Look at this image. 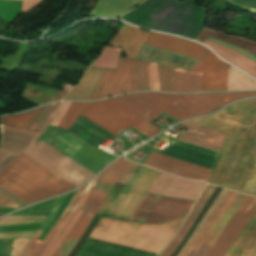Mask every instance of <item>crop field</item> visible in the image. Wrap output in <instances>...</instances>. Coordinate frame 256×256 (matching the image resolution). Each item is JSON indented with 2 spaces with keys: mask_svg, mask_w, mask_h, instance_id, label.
I'll use <instances>...</instances> for the list:
<instances>
[{
  "mask_svg": "<svg viewBox=\"0 0 256 256\" xmlns=\"http://www.w3.org/2000/svg\"><path fill=\"white\" fill-rule=\"evenodd\" d=\"M143 47L182 56L176 53H172V52H168V51H164V50H160V49H156V48H152L144 45ZM143 47H141L140 50L137 52V54L134 56L133 58L134 60L146 61V62L172 66L177 68H183L188 70H191V68L195 65L196 61H198V60L192 61V60H195L192 58H189L192 60L185 59V58H188L185 56H182V57H185V58H182L175 55H171V54H167V53H163V52H159V51H155V50H151Z\"/></svg>",
  "mask_w": 256,
  "mask_h": 256,
  "instance_id": "214f88e0",
  "label": "crop field"
},
{
  "mask_svg": "<svg viewBox=\"0 0 256 256\" xmlns=\"http://www.w3.org/2000/svg\"><path fill=\"white\" fill-rule=\"evenodd\" d=\"M0 192L22 207L29 205L27 202L23 201L22 199H20L19 197H17L16 195H14L13 193L9 192L8 190H6L1 186H0Z\"/></svg>",
  "mask_w": 256,
  "mask_h": 256,
  "instance_id": "dbb93151",
  "label": "crop field"
},
{
  "mask_svg": "<svg viewBox=\"0 0 256 256\" xmlns=\"http://www.w3.org/2000/svg\"><path fill=\"white\" fill-rule=\"evenodd\" d=\"M67 92L68 91H60L59 94L57 95V97L55 98V100L62 99L66 95Z\"/></svg>",
  "mask_w": 256,
  "mask_h": 256,
  "instance_id": "78b8030e",
  "label": "crop field"
},
{
  "mask_svg": "<svg viewBox=\"0 0 256 256\" xmlns=\"http://www.w3.org/2000/svg\"><path fill=\"white\" fill-rule=\"evenodd\" d=\"M105 196L106 193L92 190V192L80 208V210H84L83 214L81 215L63 244L54 254V256H67L69 254V252L75 246V244L93 219Z\"/></svg>",
  "mask_w": 256,
  "mask_h": 256,
  "instance_id": "22f410ed",
  "label": "crop field"
},
{
  "mask_svg": "<svg viewBox=\"0 0 256 256\" xmlns=\"http://www.w3.org/2000/svg\"><path fill=\"white\" fill-rule=\"evenodd\" d=\"M70 103L71 102H63L62 103V105L60 107V110H59V113H58V116H57V118L55 119V121L51 125H54L56 127L58 126L59 122L61 121V119L65 115L66 111L68 110V108L70 106Z\"/></svg>",
  "mask_w": 256,
  "mask_h": 256,
  "instance_id": "0fb4a251",
  "label": "crop field"
},
{
  "mask_svg": "<svg viewBox=\"0 0 256 256\" xmlns=\"http://www.w3.org/2000/svg\"><path fill=\"white\" fill-rule=\"evenodd\" d=\"M247 195L229 191L182 256H206Z\"/></svg>",
  "mask_w": 256,
  "mask_h": 256,
  "instance_id": "5a996713",
  "label": "crop field"
},
{
  "mask_svg": "<svg viewBox=\"0 0 256 256\" xmlns=\"http://www.w3.org/2000/svg\"><path fill=\"white\" fill-rule=\"evenodd\" d=\"M134 64L137 71L138 89L149 90L148 73H147L148 63L134 61Z\"/></svg>",
  "mask_w": 256,
  "mask_h": 256,
  "instance_id": "c035e120",
  "label": "crop field"
},
{
  "mask_svg": "<svg viewBox=\"0 0 256 256\" xmlns=\"http://www.w3.org/2000/svg\"><path fill=\"white\" fill-rule=\"evenodd\" d=\"M45 107L34 109L20 115L1 117L0 122L15 127L28 129Z\"/></svg>",
  "mask_w": 256,
  "mask_h": 256,
  "instance_id": "bd1437ed",
  "label": "crop field"
},
{
  "mask_svg": "<svg viewBox=\"0 0 256 256\" xmlns=\"http://www.w3.org/2000/svg\"><path fill=\"white\" fill-rule=\"evenodd\" d=\"M229 134L209 183L256 195V98L187 121Z\"/></svg>",
  "mask_w": 256,
  "mask_h": 256,
  "instance_id": "8a807250",
  "label": "crop field"
},
{
  "mask_svg": "<svg viewBox=\"0 0 256 256\" xmlns=\"http://www.w3.org/2000/svg\"><path fill=\"white\" fill-rule=\"evenodd\" d=\"M232 3H235L239 6L247 8L253 12H256V0H228Z\"/></svg>",
  "mask_w": 256,
  "mask_h": 256,
  "instance_id": "89e229c0",
  "label": "crop field"
},
{
  "mask_svg": "<svg viewBox=\"0 0 256 256\" xmlns=\"http://www.w3.org/2000/svg\"><path fill=\"white\" fill-rule=\"evenodd\" d=\"M145 165L175 174L184 178L208 181L211 170L188 164L158 153L152 152Z\"/></svg>",
  "mask_w": 256,
  "mask_h": 256,
  "instance_id": "5142ce71",
  "label": "crop field"
},
{
  "mask_svg": "<svg viewBox=\"0 0 256 256\" xmlns=\"http://www.w3.org/2000/svg\"><path fill=\"white\" fill-rule=\"evenodd\" d=\"M0 206L21 208L19 205H17L16 203H14L13 201L8 199L7 197L2 195L1 193H0Z\"/></svg>",
  "mask_w": 256,
  "mask_h": 256,
  "instance_id": "9d1cf04e",
  "label": "crop field"
},
{
  "mask_svg": "<svg viewBox=\"0 0 256 256\" xmlns=\"http://www.w3.org/2000/svg\"><path fill=\"white\" fill-rule=\"evenodd\" d=\"M225 256H256V216Z\"/></svg>",
  "mask_w": 256,
  "mask_h": 256,
  "instance_id": "eef30255",
  "label": "crop field"
},
{
  "mask_svg": "<svg viewBox=\"0 0 256 256\" xmlns=\"http://www.w3.org/2000/svg\"><path fill=\"white\" fill-rule=\"evenodd\" d=\"M113 73H114L113 70H108V69L105 70L104 75H103V77H102L94 95H93L92 100L93 99H99V98L102 97V95H103V93H104V91H105Z\"/></svg>",
  "mask_w": 256,
  "mask_h": 256,
  "instance_id": "03da06ac",
  "label": "crop field"
},
{
  "mask_svg": "<svg viewBox=\"0 0 256 256\" xmlns=\"http://www.w3.org/2000/svg\"><path fill=\"white\" fill-rule=\"evenodd\" d=\"M193 204V201L147 193L130 220L162 223L187 215Z\"/></svg>",
  "mask_w": 256,
  "mask_h": 256,
  "instance_id": "3316defc",
  "label": "crop field"
},
{
  "mask_svg": "<svg viewBox=\"0 0 256 256\" xmlns=\"http://www.w3.org/2000/svg\"><path fill=\"white\" fill-rule=\"evenodd\" d=\"M256 89V82L229 67L228 90Z\"/></svg>",
  "mask_w": 256,
  "mask_h": 256,
  "instance_id": "1d83c4d3",
  "label": "crop field"
},
{
  "mask_svg": "<svg viewBox=\"0 0 256 256\" xmlns=\"http://www.w3.org/2000/svg\"><path fill=\"white\" fill-rule=\"evenodd\" d=\"M105 69L89 68L79 84L64 99L90 100Z\"/></svg>",
  "mask_w": 256,
  "mask_h": 256,
  "instance_id": "00972430",
  "label": "crop field"
},
{
  "mask_svg": "<svg viewBox=\"0 0 256 256\" xmlns=\"http://www.w3.org/2000/svg\"><path fill=\"white\" fill-rule=\"evenodd\" d=\"M30 239H15L10 256H18Z\"/></svg>",
  "mask_w": 256,
  "mask_h": 256,
  "instance_id": "25e5ab78",
  "label": "crop field"
},
{
  "mask_svg": "<svg viewBox=\"0 0 256 256\" xmlns=\"http://www.w3.org/2000/svg\"><path fill=\"white\" fill-rule=\"evenodd\" d=\"M22 1L0 0V19L12 23L21 9Z\"/></svg>",
  "mask_w": 256,
  "mask_h": 256,
  "instance_id": "5866460e",
  "label": "crop field"
},
{
  "mask_svg": "<svg viewBox=\"0 0 256 256\" xmlns=\"http://www.w3.org/2000/svg\"><path fill=\"white\" fill-rule=\"evenodd\" d=\"M160 137L172 141L162 152L155 150V152L174 157L198 166L208 169H213L218 153L196 147L166 136Z\"/></svg>",
  "mask_w": 256,
  "mask_h": 256,
  "instance_id": "cbeb9de0",
  "label": "crop field"
},
{
  "mask_svg": "<svg viewBox=\"0 0 256 256\" xmlns=\"http://www.w3.org/2000/svg\"><path fill=\"white\" fill-rule=\"evenodd\" d=\"M60 103L52 104L46 106L41 115L36 119V121L30 126V130L40 131L43 130L52 122L54 119L56 112L60 106Z\"/></svg>",
  "mask_w": 256,
  "mask_h": 256,
  "instance_id": "d32e631a",
  "label": "crop field"
},
{
  "mask_svg": "<svg viewBox=\"0 0 256 256\" xmlns=\"http://www.w3.org/2000/svg\"><path fill=\"white\" fill-rule=\"evenodd\" d=\"M256 212V198L248 196L229 220L207 256H222Z\"/></svg>",
  "mask_w": 256,
  "mask_h": 256,
  "instance_id": "28ad6ade",
  "label": "crop field"
},
{
  "mask_svg": "<svg viewBox=\"0 0 256 256\" xmlns=\"http://www.w3.org/2000/svg\"><path fill=\"white\" fill-rule=\"evenodd\" d=\"M94 181V180H93ZM90 182V184H92V182ZM82 196L79 197L78 201L75 204V207H77V205L79 204V202L81 201ZM72 211L70 212V214L68 215V217L66 218V220L64 221V223L62 224V226L60 227V229L58 230V232L56 233V235L54 236V238L52 239V241L50 242V244L48 245V247L46 248V250L44 251V253L42 254V256L45 255V253L47 252L48 248L50 247V245L53 243V241L56 239V237L58 236V234L60 233V231L62 230V228L64 227V225L66 224V222L68 221V219L70 218V216L72 215Z\"/></svg>",
  "mask_w": 256,
  "mask_h": 256,
  "instance_id": "447ae74e",
  "label": "crop field"
},
{
  "mask_svg": "<svg viewBox=\"0 0 256 256\" xmlns=\"http://www.w3.org/2000/svg\"><path fill=\"white\" fill-rule=\"evenodd\" d=\"M150 90H159L157 65L149 63Z\"/></svg>",
  "mask_w": 256,
  "mask_h": 256,
  "instance_id": "b54c1fbb",
  "label": "crop field"
},
{
  "mask_svg": "<svg viewBox=\"0 0 256 256\" xmlns=\"http://www.w3.org/2000/svg\"><path fill=\"white\" fill-rule=\"evenodd\" d=\"M227 192V189H222L221 192L218 194V196L216 197V199L214 200V202L212 203V205L210 206V208L208 209L207 213L205 214V216L203 217V219L201 220V222L199 223V225L197 226V228L195 229V231L193 232V234L191 235V237L188 239V241L186 242V244L183 246V248L180 250V252L176 255V256H181L183 254V252L187 249V247L190 245V243L192 242V240L194 239V237L197 235V233L199 232V230L201 229V227L203 226V224L206 222V220L208 219V217L210 216V214L213 212V210L215 209V207L217 206V204L220 202V200L222 199V197L224 196V194Z\"/></svg>",
  "mask_w": 256,
  "mask_h": 256,
  "instance_id": "0bd39190",
  "label": "crop field"
},
{
  "mask_svg": "<svg viewBox=\"0 0 256 256\" xmlns=\"http://www.w3.org/2000/svg\"><path fill=\"white\" fill-rule=\"evenodd\" d=\"M2 215H5V214L0 213V216H2Z\"/></svg>",
  "mask_w": 256,
  "mask_h": 256,
  "instance_id": "0f1d7ab4",
  "label": "crop field"
},
{
  "mask_svg": "<svg viewBox=\"0 0 256 256\" xmlns=\"http://www.w3.org/2000/svg\"><path fill=\"white\" fill-rule=\"evenodd\" d=\"M36 231L0 233V239L32 238Z\"/></svg>",
  "mask_w": 256,
  "mask_h": 256,
  "instance_id": "5d738f31",
  "label": "crop field"
},
{
  "mask_svg": "<svg viewBox=\"0 0 256 256\" xmlns=\"http://www.w3.org/2000/svg\"><path fill=\"white\" fill-rule=\"evenodd\" d=\"M205 183L183 180L161 172L149 193L196 200Z\"/></svg>",
  "mask_w": 256,
  "mask_h": 256,
  "instance_id": "d1516ede",
  "label": "crop field"
},
{
  "mask_svg": "<svg viewBox=\"0 0 256 256\" xmlns=\"http://www.w3.org/2000/svg\"><path fill=\"white\" fill-rule=\"evenodd\" d=\"M207 39L221 45V46H224L226 48H229V49H232L234 51H237L241 54H243L244 56L248 57L249 59L253 60L254 62H256V58L254 56H252L251 54H249L248 52H246L245 50L241 49V48H238V47H235L233 45H230L228 43H225V42H222V41H219V40H215V39H212V38H209L207 37Z\"/></svg>",
  "mask_w": 256,
  "mask_h": 256,
  "instance_id": "425ffa30",
  "label": "crop field"
},
{
  "mask_svg": "<svg viewBox=\"0 0 256 256\" xmlns=\"http://www.w3.org/2000/svg\"><path fill=\"white\" fill-rule=\"evenodd\" d=\"M69 130L96 147L113 136L81 115ZM69 130L49 126L38 140L44 141L95 174L116 158Z\"/></svg>",
  "mask_w": 256,
  "mask_h": 256,
  "instance_id": "f4fd0767",
  "label": "crop field"
},
{
  "mask_svg": "<svg viewBox=\"0 0 256 256\" xmlns=\"http://www.w3.org/2000/svg\"><path fill=\"white\" fill-rule=\"evenodd\" d=\"M91 103H74L72 102L68 112L61 121L59 127L69 129L75 122L78 115L84 111Z\"/></svg>",
  "mask_w": 256,
  "mask_h": 256,
  "instance_id": "e1f06a70",
  "label": "crop field"
},
{
  "mask_svg": "<svg viewBox=\"0 0 256 256\" xmlns=\"http://www.w3.org/2000/svg\"><path fill=\"white\" fill-rule=\"evenodd\" d=\"M207 36L228 42L233 45H236V46L241 47V48L256 55V42L255 41L245 39V38H242L239 36L234 37V36L226 35L219 31H215V30H211V29H207V28H204L202 33L197 38V41L203 43L204 39Z\"/></svg>",
  "mask_w": 256,
  "mask_h": 256,
  "instance_id": "750c4746",
  "label": "crop field"
},
{
  "mask_svg": "<svg viewBox=\"0 0 256 256\" xmlns=\"http://www.w3.org/2000/svg\"><path fill=\"white\" fill-rule=\"evenodd\" d=\"M160 90L172 91L173 68L158 65Z\"/></svg>",
  "mask_w": 256,
  "mask_h": 256,
  "instance_id": "b80d0937",
  "label": "crop field"
},
{
  "mask_svg": "<svg viewBox=\"0 0 256 256\" xmlns=\"http://www.w3.org/2000/svg\"><path fill=\"white\" fill-rule=\"evenodd\" d=\"M193 71L203 72L201 91L227 90L228 66L210 51L194 66Z\"/></svg>",
  "mask_w": 256,
  "mask_h": 256,
  "instance_id": "d9b57169",
  "label": "crop field"
},
{
  "mask_svg": "<svg viewBox=\"0 0 256 256\" xmlns=\"http://www.w3.org/2000/svg\"><path fill=\"white\" fill-rule=\"evenodd\" d=\"M148 35V32L124 24L109 45L122 47L120 57L126 51L127 58L132 59Z\"/></svg>",
  "mask_w": 256,
  "mask_h": 256,
  "instance_id": "92a150f3",
  "label": "crop field"
},
{
  "mask_svg": "<svg viewBox=\"0 0 256 256\" xmlns=\"http://www.w3.org/2000/svg\"><path fill=\"white\" fill-rule=\"evenodd\" d=\"M202 73L175 68L173 91H199Z\"/></svg>",
  "mask_w": 256,
  "mask_h": 256,
  "instance_id": "d3111659",
  "label": "crop field"
},
{
  "mask_svg": "<svg viewBox=\"0 0 256 256\" xmlns=\"http://www.w3.org/2000/svg\"><path fill=\"white\" fill-rule=\"evenodd\" d=\"M215 189H216L215 186L207 185L202 195L200 196L195 206L193 207L192 211L190 212L189 216L183 223L182 227L180 228V230L178 231V233L176 234L172 242L169 244V246L166 248V250L161 256H170L171 253L175 250V248L180 244L185 234L189 230L190 226L196 219L198 213L203 208V206L205 205V203L207 202V200L212 195Z\"/></svg>",
  "mask_w": 256,
  "mask_h": 256,
  "instance_id": "730fd06b",
  "label": "crop field"
},
{
  "mask_svg": "<svg viewBox=\"0 0 256 256\" xmlns=\"http://www.w3.org/2000/svg\"><path fill=\"white\" fill-rule=\"evenodd\" d=\"M207 13L177 0H146L122 16L124 21L138 26L177 34L196 40Z\"/></svg>",
  "mask_w": 256,
  "mask_h": 256,
  "instance_id": "dd49c442",
  "label": "crop field"
},
{
  "mask_svg": "<svg viewBox=\"0 0 256 256\" xmlns=\"http://www.w3.org/2000/svg\"><path fill=\"white\" fill-rule=\"evenodd\" d=\"M96 186V185H95ZM112 188V185L103 183V182H98L97 186L94 188V190L102 191L108 193Z\"/></svg>",
  "mask_w": 256,
  "mask_h": 256,
  "instance_id": "0765c3eb",
  "label": "crop field"
},
{
  "mask_svg": "<svg viewBox=\"0 0 256 256\" xmlns=\"http://www.w3.org/2000/svg\"><path fill=\"white\" fill-rule=\"evenodd\" d=\"M11 154H15L13 152L7 151V150H3L0 149V162L7 156L11 155Z\"/></svg>",
  "mask_w": 256,
  "mask_h": 256,
  "instance_id": "7b73153f",
  "label": "crop field"
},
{
  "mask_svg": "<svg viewBox=\"0 0 256 256\" xmlns=\"http://www.w3.org/2000/svg\"><path fill=\"white\" fill-rule=\"evenodd\" d=\"M159 174L160 171L143 166L140 174L133 173L126 185L116 182L96 215L129 220Z\"/></svg>",
  "mask_w": 256,
  "mask_h": 256,
  "instance_id": "e52e79f7",
  "label": "crop field"
},
{
  "mask_svg": "<svg viewBox=\"0 0 256 256\" xmlns=\"http://www.w3.org/2000/svg\"><path fill=\"white\" fill-rule=\"evenodd\" d=\"M255 95L256 92L213 94L146 92L123 95L111 99L150 122L163 111L180 121L213 111L239 98Z\"/></svg>",
  "mask_w": 256,
  "mask_h": 256,
  "instance_id": "412701ff",
  "label": "crop field"
},
{
  "mask_svg": "<svg viewBox=\"0 0 256 256\" xmlns=\"http://www.w3.org/2000/svg\"><path fill=\"white\" fill-rule=\"evenodd\" d=\"M46 216H27V217H4L0 219V225L19 224V223H37L43 222Z\"/></svg>",
  "mask_w": 256,
  "mask_h": 256,
  "instance_id": "c21b1889",
  "label": "crop field"
},
{
  "mask_svg": "<svg viewBox=\"0 0 256 256\" xmlns=\"http://www.w3.org/2000/svg\"><path fill=\"white\" fill-rule=\"evenodd\" d=\"M23 153L76 186L95 175L42 141ZM23 153L0 174V185L20 198L32 204L76 187Z\"/></svg>",
  "mask_w": 256,
  "mask_h": 256,
  "instance_id": "ac0d7876",
  "label": "crop field"
},
{
  "mask_svg": "<svg viewBox=\"0 0 256 256\" xmlns=\"http://www.w3.org/2000/svg\"><path fill=\"white\" fill-rule=\"evenodd\" d=\"M86 186V185H85ZM85 186L79 188L76 190L71 202L67 206L66 210L60 217V219L57 221L55 226L52 228V230L49 232L47 237L44 239L43 242L37 240L38 237L41 235V231H38V233L35 235V237L31 240V242L28 244V246L24 249V251L21 253L20 256H40V254L43 252L45 247L48 245L58 228L61 226L67 215L69 214L70 210L74 206L75 202L77 201L78 197L80 196L81 192L85 188Z\"/></svg>",
  "mask_w": 256,
  "mask_h": 256,
  "instance_id": "4177f3b9",
  "label": "crop field"
},
{
  "mask_svg": "<svg viewBox=\"0 0 256 256\" xmlns=\"http://www.w3.org/2000/svg\"><path fill=\"white\" fill-rule=\"evenodd\" d=\"M203 44L209 46L214 52H216L218 55H220L228 62L232 63L236 67L242 69L243 71L247 72L248 74L256 78V63H254L253 61L232 50L221 47L206 39Z\"/></svg>",
  "mask_w": 256,
  "mask_h": 256,
  "instance_id": "ae1a2a85",
  "label": "crop field"
},
{
  "mask_svg": "<svg viewBox=\"0 0 256 256\" xmlns=\"http://www.w3.org/2000/svg\"><path fill=\"white\" fill-rule=\"evenodd\" d=\"M144 44L198 59L202 58L207 51L203 46L189 40L154 32H151Z\"/></svg>",
  "mask_w": 256,
  "mask_h": 256,
  "instance_id": "733c2abd",
  "label": "crop field"
},
{
  "mask_svg": "<svg viewBox=\"0 0 256 256\" xmlns=\"http://www.w3.org/2000/svg\"><path fill=\"white\" fill-rule=\"evenodd\" d=\"M184 218L161 225L126 222L102 217L91 235L160 253ZM87 238L81 252L97 256H158V253L124 245L99 237ZM78 252L77 256H93Z\"/></svg>",
  "mask_w": 256,
  "mask_h": 256,
  "instance_id": "34b2d1b8",
  "label": "crop field"
},
{
  "mask_svg": "<svg viewBox=\"0 0 256 256\" xmlns=\"http://www.w3.org/2000/svg\"><path fill=\"white\" fill-rule=\"evenodd\" d=\"M143 0H98L95 7L88 15L116 18L119 17Z\"/></svg>",
  "mask_w": 256,
  "mask_h": 256,
  "instance_id": "a9b5d70f",
  "label": "crop field"
},
{
  "mask_svg": "<svg viewBox=\"0 0 256 256\" xmlns=\"http://www.w3.org/2000/svg\"><path fill=\"white\" fill-rule=\"evenodd\" d=\"M189 128L178 138V140L194 144L215 152H220L227 134L203 128L187 122L182 123Z\"/></svg>",
  "mask_w": 256,
  "mask_h": 256,
  "instance_id": "4a817a6b",
  "label": "crop field"
},
{
  "mask_svg": "<svg viewBox=\"0 0 256 256\" xmlns=\"http://www.w3.org/2000/svg\"><path fill=\"white\" fill-rule=\"evenodd\" d=\"M0 148L14 152H21L33 145L34 140L40 135L30 131L1 126Z\"/></svg>",
  "mask_w": 256,
  "mask_h": 256,
  "instance_id": "dafd665d",
  "label": "crop field"
},
{
  "mask_svg": "<svg viewBox=\"0 0 256 256\" xmlns=\"http://www.w3.org/2000/svg\"><path fill=\"white\" fill-rule=\"evenodd\" d=\"M81 115L116 136L130 126L148 137L161 131L111 99L92 103Z\"/></svg>",
  "mask_w": 256,
  "mask_h": 256,
  "instance_id": "d8731c3e",
  "label": "crop field"
},
{
  "mask_svg": "<svg viewBox=\"0 0 256 256\" xmlns=\"http://www.w3.org/2000/svg\"><path fill=\"white\" fill-rule=\"evenodd\" d=\"M137 90L136 71L132 61L119 58L116 71L103 97Z\"/></svg>",
  "mask_w": 256,
  "mask_h": 256,
  "instance_id": "bc2a9ffb",
  "label": "crop field"
},
{
  "mask_svg": "<svg viewBox=\"0 0 256 256\" xmlns=\"http://www.w3.org/2000/svg\"><path fill=\"white\" fill-rule=\"evenodd\" d=\"M17 155L9 156L4 160L0 165V173L17 157Z\"/></svg>",
  "mask_w": 256,
  "mask_h": 256,
  "instance_id": "db79e9e6",
  "label": "crop field"
},
{
  "mask_svg": "<svg viewBox=\"0 0 256 256\" xmlns=\"http://www.w3.org/2000/svg\"><path fill=\"white\" fill-rule=\"evenodd\" d=\"M121 48L105 47L100 57L91 64L93 67L115 69Z\"/></svg>",
  "mask_w": 256,
  "mask_h": 256,
  "instance_id": "120bbe31",
  "label": "crop field"
},
{
  "mask_svg": "<svg viewBox=\"0 0 256 256\" xmlns=\"http://www.w3.org/2000/svg\"><path fill=\"white\" fill-rule=\"evenodd\" d=\"M128 164L127 160H117L101 174L100 181L114 185Z\"/></svg>",
  "mask_w": 256,
  "mask_h": 256,
  "instance_id": "028f5c9d",
  "label": "crop field"
},
{
  "mask_svg": "<svg viewBox=\"0 0 256 256\" xmlns=\"http://www.w3.org/2000/svg\"><path fill=\"white\" fill-rule=\"evenodd\" d=\"M41 0H23L21 11L26 12L37 6Z\"/></svg>",
  "mask_w": 256,
  "mask_h": 256,
  "instance_id": "1d79db26",
  "label": "crop field"
},
{
  "mask_svg": "<svg viewBox=\"0 0 256 256\" xmlns=\"http://www.w3.org/2000/svg\"><path fill=\"white\" fill-rule=\"evenodd\" d=\"M81 213H82L81 211H78V213L76 214V216L74 217V219L72 220V222L70 223V225L68 226V228L66 229V231L64 232V234L62 235V237L60 238V240L58 241V243L56 244V246L54 247V249L52 250L49 256H52L55 253V251L58 249V247L61 245V243L64 241V239L68 235L69 231L71 230V228L73 227V225L75 224V222L77 221Z\"/></svg>",
  "mask_w": 256,
  "mask_h": 256,
  "instance_id": "73cf0c24",
  "label": "crop field"
},
{
  "mask_svg": "<svg viewBox=\"0 0 256 256\" xmlns=\"http://www.w3.org/2000/svg\"><path fill=\"white\" fill-rule=\"evenodd\" d=\"M99 177L96 178V180L93 182V184L91 185L90 189L88 190V192L86 193V195L84 196V198L82 199V201L80 202L79 206L77 207V209L75 210L74 214L72 215V217L69 219V221L67 222V224L65 225V227L63 228V230L61 231V233L59 234V236L57 237V239L55 240V242L52 244V246L49 248L47 254L45 256L48 255V253L50 252V250L53 248V246L56 244V242L59 240V238L61 237V235L63 234V232L65 231V229L67 228V226L69 225V223L71 222V220L73 219V217L75 216V214L77 213V211L79 210V208L81 207V205L83 204V202L85 201V199L87 198V196L89 195V193L91 192L93 186L95 185V183L98 181Z\"/></svg>",
  "mask_w": 256,
  "mask_h": 256,
  "instance_id": "d23c7cc5",
  "label": "crop field"
},
{
  "mask_svg": "<svg viewBox=\"0 0 256 256\" xmlns=\"http://www.w3.org/2000/svg\"><path fill=\"white\" fill-rule=\"evenodd\" d=\"M137 167V164H134L130 162L128 167L125 169L121 177L118 179V182L126 184L132 173L134 172L135 168Z\"/></svg>",
  "mask_w": 256,
  "mask_h": 256,
  "instance_id": "1f2cbd36",
  "label": "crop field"
}]
</instances>
